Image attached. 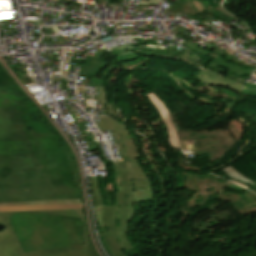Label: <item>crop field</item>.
I'll use <instances>...</instances> for the list:
<instances>
[{"instance_id": "11", "label": "crop field", "mask_w": 256, "mask_h": 256, "mask_svg": "<svg viewBox=\"0 0 256 256\" xmlns=\"http://www.w3.org/2000/svg\"><path fill=\"white\" fill-rule=\"evenodd\" d=\"M94 205H104L97 177H89Z\"/></svg>"}, {"instance_id": "2", "label": "crop field", "mask_w": 256, "mask_h": 256, "mask_svg": "<svg viewBox=\"0 0 256 256\" xmlns=\"http://www.w3.org/2000/svg\"><path fill=\"white\" fill-rule=\"evenodd\" d=\"M7 218L24 253L84 244L79 218L37 212Z\"/></svg>"}, {"instance_id": "6", "label": "crop field", "mask_w": 256, "mask_h": 256, "mask_svg": "<svg viewBox=\"0 0 256 256\" xmlns=\"http://www.w3.org/2000/svg\"><path fill=\"white\" fill-rule=\"evenodd\" d=\"M233 141L232 137L212 138L192 141L193 145L185 146V151L192 150L194 156L210 153L211 161L216 160L223 154L218 145Z\"/></svg>"}, {"instance_id": "8", "label": "crop field", "mask_w": 256, "mask_h": 256, "mask_svg": "<svg viewBox=\"0 0 256 256\" xmlns=\"http://www.w3.org/2000/svg\"><path fill=\"white\" fill-rule=\"evenodd\" d=\"M114 167V173L115 175H120L121 179V185L123 191H133V185L131 181L130 174L131 169L128 162H117V163H112Z\"/></svg>"}, {"instance_id": "16", "label": "crop field", "mask_w": 256, "mask_h": 256, "mask_svg": "<svg viewBox=\"0 0 256 256\" xmlns=\"http://www.w3.org/2000/svg\"><path fill=\"white\" fill-rule=\"evenodd\" d=\"M213 62H215V63H217V64H219V65H221V66H225V64L227 63L225 60H224V58H222V57H220V56H218L217 58H215L214 60H212Z\"/></svg>"}, {"instance_id": "7", "label": "crop field", "mask_w": 256, "mask_h": 256, "mask_svg": "<svg viewBox=\"0 0 256 256\" xmlns=\"http://www.w3.org/2000/svg\"><path fill=\"white\" fill-rule=\"evenodd\" d=\"M134 191H142V202L156 199L150 180L137 161H130Z\"/></svg>"}, {"instance_id": "12", "label": "crop field", "mask_w": 256, "mask_h": 256, "mask_svg": "<svg viewBox=\"0 0 256 256\" xmlns=\"http://www.w3.org/2000/svg\"><path fill=\"white\" fill-rule=\"evenodd\" d=\"M228 177L234 178L236 180L242 181L245 184L251 185L254 182L248 180L246 177H244L241 173L233 169L232 167L228 166L223 169H221Z\"/></svg>"}, {"instance_id": "4", "label": "crop field", "mask_w": 256, "mask_h": 256, "mask_svg": "<svg viewBox=\"0 0 256 256\" xmlns=\"http://www.w3.org/2000/svg\"><path fill=\"white\" fill-rule=\"evenodd\" d=\"M37 212L83 217L85 222V236L87 245L23 254L6 218V216L17 212H0V223H4L6 226V228L0 232V256H98L89 238L84 216L77 215L75 210H47Z\"/></svg>"}, {"instance_id": "15", "label": "crop field", "mask_w": 256, "mask_h": 256, "mask_svg": "<svg viewBox=\"0 0 256 256\" xmlns=\"http://www.w3.org/2000/svg\"><path fill=\"white\" fill-rule=\"evenodd\" d=\"M98 90H99V97H100V101H101V106H102L103 113H104V115H107V114L105 113V109H104V106H103V103H107V101H106L105 88H100V87H98Z\"/></svg>"}, {"instance_id": "18", "label": "crop field", "mask_w": 256, "mask_h": 256, "mask_svg": "<svg viewBox=\"0 0 256 256\" xmlns=\"http://www.w3.org/2000/svg\"><path fill=\"white\" fill-rule=\"evenodd\" d=\"M182 146H185V145H190L192 144L191 141H186V142H181Z\"/></svg>"}, {"instance_id": "20", "label": "crop field", "mask_w": 256, "mask_h": 256, "mask_svg": "<svg viewBox=\"0 0 256 256\" xmlns=\"http://www.w3.org/2000/svg\"><path fill=\"white\" fill-rule=\"evenodd\" d=\"M246 87H248V88H250V89H252L253 90V88H256V86H254V85H249V84H246ZM245 87V88H246Z\"/></svg>"}, {"instance_id": "1", "label": "crop field", "mask_w": 256, "mask_h": 256, "mask_svg": "<svg viewBox=\"0 0 256 256\" xmlns=\"http://www.w3.org/2000/svg\"><path fill=\"white\" fill-rule=\"evenodd\" d=\"M35 108L0 65V203L81 198L60 137L30 140L22 111Z\"/></svg>"}, {"instance_id": "14", "label": "crop field", "mask_w": 256, "mask_h": 256, "mask_svg": "<svg viewBox=\"0 0 256 256\" xmlns=\"http://www.w3.org/2000/svg\"><path fill=\"white\" fill-rule=\"evenodd\" d=\"M104 106H105V109H106V112L108 115L113 116V117H116V115H118V112L116 110V107L114 106V103L104 104Z\"/></svg>"}, {"instance_id": "10", "label": "crop field", "mask_w": 256, "mask_h": 256, "mask_svg": "<svg viewBox=\"0 0 256 256\" xmlns=\"http://www.w3.org/2000/svg\"><path fill=\"white\" fill-rule=\"evenodd\" d=\"M82 203L81 199L72 200H49V201H33V202H17V203H1L0 206L11 205H43V204H76Z\"/></svg>"}, {"instance_id": "9", "label": "crop field", "mask_w": 256, "mask_h": 256, "mask_svg": "<svg viewBox=\"0 0 256 256\" xmlns=\"http://www.w3.org/2000/svg\"><path fill=\"white\" fill-rule=\"evenodd\" d=\"M82 204L76 205H43V206H11L0 207V211H25V210H47V209H80Z\"/></svg>"}, {"instance_id": "5", "label": "crop field", "mask_w": 256, "mask_h": 256, "mask_svg": "<svg viewBox=\"0 0 256 256\" xmlns=\"http://www.w3.org/2000/svg\"><path fill=\"white\" fill-rule=\"evenodd\" d=\"M100 118L102 122H99L98 125L102 131L113 129L123 161L139 159L130 131L110 117Z\"/></svg>"}, {"instance_id": "19", "label": "crop field", "mask_w": 256, "mask_h": 256, "mask_svg": "<svg viewBox=\"0 0 256 256\" xmlns=\"http://www.w3.org/2000/svg\"><path fill=\"white\" fill-rule=\"evenodd\" d=\"M113 256H126V255L123 252H120V253L114 254Z\"/></svg>"}, {"instance_id": "3", "label": "crop field", "mask_w": 256, "mask_h": 256, "mask_svg": "<svg viewBox=\"0 0 256 256\" xmlns=\"http://www.w3.org/2000/svg\"><path fill=\"white\" fill-rule=\"evenodd\" d=\"M118 192H115L117 205L94 206L100 228H108L105 242L112 254L134 248L128 236V224L135 211V203L141 202V192H122L119 176H115Z\"/></svg>"}, {"instance_id": "13", "label": "crop field", "mask_w": 256, "mask_h": 256, "mask_svg": "<svg viewBox=\"0 0 256 256\" xmlns=\"http://www.w3.org/2000/svg\"><path fill=\"white\" fill-rule=\"evenodd\" d=\"M207 64H208V65H207V66L204 65V67H206V68H208V69H210V70H212V71H214V72L220 74L218 71L222 68L221 66H219V65H217V64H215V63H213V62H211V61L208 62ZM222 76H223L224 78L232 79V80H234V81H236V82H238V83H240V82L245 83V82L242 81V80H239V81H238L237 78L232 77V76L223 75V74H222Z\"/></svg>"}, {"instance_id": "17", "label": "crop field", "mask_w": 256, "mask_h": 256, "mask_svg": "<svg viewBox=\"0 0 256 256\" xmlns=\"http://www.w3.org/2000/svg\"><path fill=\"white\" fill-rule=\"evenodd\" d=\"M161 0H155L154 2L150 1H141L139 4L148 5V3H160Z\"/></svg>"}]
</instances>
